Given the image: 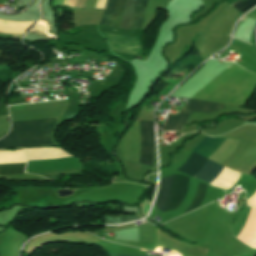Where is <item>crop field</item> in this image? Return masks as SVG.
<instances>
[{
    "mask_svg": "<svg viewBox=\"0 0 256 256\" xmlns=\"http://www.w3.org/2000/svg\"><path fill=\"white\" fill-rule=\"evenodd\" d=\"M206 187H207L206 185L199 183L198 190L196 192V197L190 204L189 208H187L185 213L197 208L200 205V203L202 202Z\"/></svg>",
    "mask_w": 256,
    "mask_h": 256,
    "instance_id": "10",
    "label": "crop field"
},
{
    "mask_svg": "<svg viewBox=\"0 0 256 256\" xmlns=\"http://www.w3.org/2000/svg\"><path fill=\"white\" fill-rule=\"evenodd\" d=\"M222 108H224V105L209 101L189 99L181 111L212 113ZM190 114L192 113L180 112L178 116L169 114L163 131H179L184 127V124Z\"/></svg>",
    "mask_w": 256,
    "mask_h": 256,
    "instance_id": "4",
    "label": "crop field"
},
{
    "mask_svg": "<svg viewBox=\"0 0 256 256\" xmlns=\"http://www.w3.org/2000/svg\"><path fill=\"white\" fill-rule=\"evenodd\" d=\"M141 163L154 166L155 136L153 121H139Z\"/></svg>",
    "mask_w": 256,
    "mask_h": 256,
    "instance_id": "6",
    "label": "crop field"
},
{
    "mask_svg": "<svg viewBox=\"0 0 256 256\" xmlns=\"http://www.w3.org/2000/svg\"><path fill=\"white\" fill-rule=\"evenodd\" d=\"M206 159L207 158L192 152L188 160L182 166H180L177 171L192 176L203 167ZM221 169L222 166L207 159L204 167L197 174H195L194 177L210 183L219 175Z\"/></svg>",
    "mask_w": 256,
    "mask_h": 256,
    "instance_id": "5",
    "label": "crop field"
},
{
    "mask_svg": "<svg viewBox=\"0 0 256 256\" xmlns=\"http://www.w3.org/2000/svg\"><path fill=\"white\" fill-rule=\"evenodd\" d=\"M57 119L12 123L11 132L0 140V149L53 145Z\"/></svg>",
    "mask_w": 256,
    "mask_h": 256,
    "instance_id": "1",
    "label": "crop field"
},
{
    "mask_svg": "<svg viewBox=\"0 0 256 256\" xmlns=\"http://www.w3.org/2000/svg\"><path fill=\"white\" fill-rule=\"evenodd\" d=\"M255 2H256V0L237 1L231 5L234 6L236 9H238L241 12L244 9H246L247 7L254 4Z\"/></svg>",
    "mask_w": 256,
    "mask_h": 256,
    "instance_id": "12",
    "label": "crop field"
},
{
    "mask_svg": "<svg viewBox=\"0 0 256 256\" xmlns=\"http://www.w3.org/2000/svg\"><path fill=\"white\" fill-rule=\"evenodd\" d=\"M86 0H76L74 9H84ZM106 0H97L96 7L97 9H103Z\"/></svg>",
    "mask_w": 256,
    "mask_h": 256,
    "instance_id": "11",
    "label": "crop field"
},
{
    "mask_svg": "<svg viewBox=\"0 0 256 256\" xmlns=\"http://www.w3.org/2000/svg\"><path fill=\"white\" fill-rule=\"evenodd\" d=\"M231 66V65H230Z\"/></svg>",
    "mask_w": 256,
    "mask_h": 256,
    "instance_id": "15",
    "label": "crop field"
},
{
    "mask_svg": "<svg viewBox=\"0 0 256 256\" xmlns=\"http://www.w3.org/2000/svg\"><path fill=\"white\" fill-rule=\"evenodd\" d=\"M171 179L172 176H169L161 179L160 181V190L155 205L159 211L165 212L167 201L171 191ZM187 183L188 178H186L185 176L173 175L172 191L166 211L176 209L177 206L182 202L187 192Z\"/></svg>",
    "mask_w": 256,
    "mask_h": 256,
    "instance_id": "3",
    "label": "crop field"
},
{
    "mask_svg": "<svg viewBox=\"0 0 256 256\" xmlns=\"http://www.w3.org/2000/svg\"><path fill=\"white\" fill-rule=\"evenodd\" d=\"M224 139L212 138L205 136L203 140L193 149V151L209 157L212 153H214Z\"/></svg>",
    "mask_w": 256,
    "mask_h": 256,
    "instance_id": "7",
    "label": "crop field"
},
{
    "mask_svg": "<svg viewBox=\"0 0 256 256\" xmlns=\"http://www.w3.org/2000/svg\"><path fill=\"white\" fill-rule=\"evenodd\" d=\"M140 219L137 216H132V217H121V218H105L106 223H121V222H127V221H132Z\"/></svg>",
    "mask_w": 256,
    "mask_h": 256,
    "instance_id": "13",
    "label": "crop field"
},
{
    "mask_svg": "<svg viewBox=\"0 0 256 256\" xmlns=\"http://www.w3.org/2000/svg\"><path fill=\"white\" fill-rule=\"evenodd\" d=\"M136 1L137 0H127L126 2V0H116L115 2V0H108L105 12L103 14V17L99 25H106V26L109 25L111 13H112L114 2H115V6H114V10L112 13L109 26L119 28L121 24L122 16H123L125 2H126L124 16H123V20L120 28L129 29L133 12L135 9ZM147 3H148V0L137 1V5H136V9H135V13L133 16L130 29L141 28L142 22L146 13Z\"/></svg>",
    "mask_w": 256,
    "mask_h": 256,
    "instance_id": "2",
    "label": "crop field"
},
{
    "mask_svg": "<svg viewBox=\"0 0 256 256\" xmlns=\"http://www.w3.org/2000/svg\"><path fill=\"white\" fill-rule=\"evenodd\" d=\"M256 228V208H251L250 214L247 218L244 228L241 230L240 234L236 236L243 243L252 234Z\"/></svg>",
    "mask_w": 256,
    "mask_h": 256,
    "instance_id": "8",
    "label": "crop field"
},
{
    "mask_svg": "<svg viewBox=\"0 0 256 256\" xmlns=\"http://www.w3.org/2000/svg\"><path fill=\"white\" fill-rule=\"evenodd\" d=\"M110 253H111V254H114V255L134 256V255H127V254L113 253V252H110ZM114 255H111V256H114Z\"/></svg>",
    "mask_w": 256,
    "mask_h": 256,
    "instance_id": "14",
    "label": "crop field"
},
{
    "mask_svg": "<svg viewBox=\"0 0 256 256\" xmlns=\"http://www.w3.org/2000/svg\"><path fill=\"white\" fill-rule=\"evenodd\" d=\"M25 163L0 164V175H14L24 172Z\"/></svg>",
    "mask_w": 256,
    "mask_h": 256,
    "instance_id": "9",
    "label": "crop field"
}]
</instances>
